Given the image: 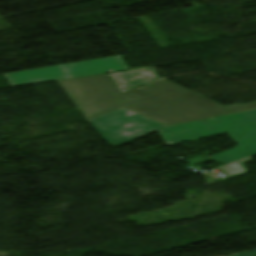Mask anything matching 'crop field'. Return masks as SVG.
Segmentation results:
<instances>
[{"label":"crop field","mask_w":256,"mask_h":256,"mask_svg":"<svg viewBox=\"0 0 256 256\" xmlns=\"http://www.w3.org/2000/svg\"><path fill=\"white\" fill-rule=\"evenodd\" d=\"M58 82L88 120L123 107L170 126L256 108V102L223 107L167 79L151 84L166 92L121 105V93L107 74Z\"/></svg>","instance_id":"8a807250"},{"label":"crop field","mask_w":256,"mask_h":256,"mask_svg":"<svg viewBox=\"0 0 256 256\" xmlns=\"http://www.w3.org/2000/svg\"><path fill=\"white\" fill-rule=\"evenodd\" d=\"M89 122L113 146H119L156 130L167 145L228 133L239 146L210 158L228 165L256 154V110L167 127L120 108Z\"/></svg>","instance_id":"ac0d7876"},{"label":"crop field","mask_w":256,"mask_h":256,"mask_svg":"<svg viewBox=\"0 0 256 256\" xmlns=\"http://www.w3.org/2000/svg\"><path fill=\"white\" fill-rule=\"evenodd\" d=\"M128 69H130V67L127 65L122 56H115L106 59L65 64L8 74L5 75V77L10 82L12 87H16L52 80L103 74L108 73V70H113V72H116Z\"/></svg>","instance_id":"34b2d1b8"},{"label":"crop field","mask_w":256,"mask_h":256,"mask_svg":"<svg viewBox=\"0 0 256 256\" xmlns=\"http://www.w3.org/2000/svg\"><path fill=\"white\" fill-rule=\"evenodd\" d=\"M108 75L119 88L121 93L157 80L152 67L133 71L110 73Z\"/></svg>","instance_id":"412701ff"},{"label":"crop field","mask_w":256,"mask_h":256,"mask_svg":"<svg viewBox=\"0 0 256 256\" xmlns=\"http://www.w3.org/2000/svg\"><path fill=\"white\" fill-rule=\"evenodd\" d=\"M160 92H164V91L149 85L141 90L120 95V96H118V98H119V102L121 104V103H125V102L131 101V100L146 97V96L153 95V94L160 93Z\"/></svg>","instance_id":"f4fd0767"},{"label":"crop field","mask_w":256,"mask_h":256,"mask_svg":"<svg viewBox=\"0 0 256 256\" xmlns=\"http://www.w3.org/2000/svg\"><path fill=\"white\" fill-rule=\"evenodd\" d=\"M235 256H256V251H252V252H248V253H244V254H239V255H235Z\"/></svg>","instance_id":"dd49c442"}]
</instances>
